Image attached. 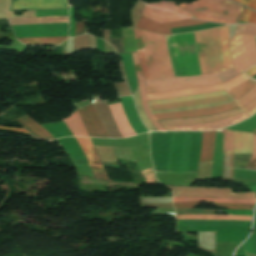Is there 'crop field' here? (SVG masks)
I'll return each mask as SVG.
<instances>
[{"mask_svg": "<svg viewBox=\"0 0 256 256\" xmlns=\"http://www.w3.org/2000/svg\"><path fill=\"white\" fill-rule=\"evenodd\" d=\"M202 132L150 133L155 171L197 172Z\"/></svg>", "mask_w": 256, "mask_h": 256, "instance_id": "crop-field-1", "label": "crop field"}, {"mask_svg": "<svg viewBox=\"0 0 256 256\" xmlns=\"http://www.w3.org/2000/svg\"><path fill=\"white\" fill-rule=\"evenodd\" d=\"M144 81L174 77L166 36L134 29Z\"/></svg>", "mask_w": 256, "mask_h": 256, "instance_id": "crop-field-2", "label": "crop field"}, {"mask_svg": "<svg viewBox=\"0 0 256 256\" xmlns=\"http://www.w3.org/2000/svg\"><path fill=\"white\" fill-rule=\"evenodd\" d=\"M175 77L201 75L193 33L167 36Z\"/></svg>", "mask_w": 256, "mask_h": 256, "instance_id": "crop-field-3", "label": "crop field"}, {"mask_svg": "<svg viewBox=\"0 0 256 256\" xmlns=\"http://www.w3.org/2000/svg\"><path fill=\"white\" fill-rule=\"evenodd\" d=\"M179 7L191 13L193 18L225 24L238 23L245 9L228 0H198Z\"/></svg>", "mask_w": 256, "mask_h": 256, "instance_id": "crop-field-4", "label": "crop field"}, {"mask_svg": "<svg viewBox=\"0 0 256 256\" xmlns=\"http://www.w3.org/2000/svg\"><path fill=\"white\" fill-rule=\"evenodd\" d=\"M237 75V72L232 68L214 75L163 79L144 82V84L146 94H150L182 88L220 84Z\"/></svg>", "mask_w": 256, "mask_h": 256, "instance_id": "crop-field-5", "label": "crop field"}, {"mask_svg": "<svg viewBox=\"0 0 256 256\" xmlns=\"http://www.w3.org/2000/svg\"><path fill=\"white\" fill-rule=\"evenodd\" d=\"M205 42L211 73L232 68L228 48V26L206 31Z\"/></svg>", "mask_w": 256, "mask_h": 256, "instance_id": "crop-field-6", "label": "crop field"}, {"mask_svg": "<svg viewBox=\"0 0 256 256\" xmlns=\"http://www.w3.org/2000/svg\"><path fill=\"white\" fill-rule=\"evenodd\" d=\"M221 96H226L229 102L233 101L225 91H221V92H214V93H208V94L151 101L149 102V106L153 113V109H154V112H157V111H164V110H171V109H177V108H184V107H191V106H198V105H205V104L227 101L226 97H221ZM213 97H221V98H213ZM205 98H213V99H205ZM197 99H205V100H197ZM189 100H197V101H189ZM181 101H189V102H181ZM173 102H181V103H173ZM165 103H173V104H165ZM225 103H228V102H225ZM157 104H165V105H157ZM220 104H224V103L177 109V110H171V111L192 110V109L212 107ZM152 105H157V106H153V109H152ZM164 112H169V111H164ZM157 113H160V112H157Z\"/></svg>", "mask_w": 256, "mask_h": 256, "instance_id": "crop-field-7", "label": "crop field"}, {"mask_svg": "<svg viewBox=\"0 0 256 256\" xmlns=\"http://www.w3.org/2000/svg\"><path fill=\"white\" fill-rule=\"evenodd\" d=\"M230 56L238 74L256 64V36L236 33L229 40Z\"/></svg>", "mask_w": 256, "mask_h": 256, "instance_id": "crop-field-8", "label": "crop field"}, {"mask_svg": "<svg viewBox=\"0 0 256 256\" xmlns=\"http://www.w3.org/2000/svg\"><path fill=\"white\" fill-rule=\"evenodd\" d=\"M247 79L249 78L245 77L242 73L238 77L220 85L183 89L179 91L164 92V93H158V94H150V95H146V98L147 100H158V99H165V98H172V97H179V96L201 94V93H207V92H213V91H221V90L229 91L235 88L236 86H238L239 84L243 83Z\"/></svg>", "mask_w": 256, "mask_h": 256, "instance_id": "crop-field-9", "label": "crop field"}, {"mask_svg": "<svg viewBox=\"0 0 256 256\" xmlns=\"http://www.w3.org/2000/svg\"><path fill=\"white\" fill-rule=\"evenodd\" d=\"M16 37H54L67 36L68 23H55L45 25L12 26Z\"/></svg>", "mask_w": 256, "mask_h": 256, "instance_id": "crop-field-10", "label": "crop field"}, {"mask_svg": "<svg viewBox=\"0 0 256 256\" xmlns=\"http://www.w3.org/2000/svg\"><path fill=\"white\" fill-rule=\"evenodd\" d=\"M10 11L68 9V0H11Z\"/></svg>", "mask_w": 256, "mask_h": 256, "instance_id": "crop-field-11", "label": "crop field"}, {"mask_svg": "<svg viewBox=\"0 0 256 256\" xmlns=\"http://www.w3.org/2000/svg\"><path fill=\"white\" fill-rule=\"evenodd\" d=\"M90 137L108 138L107 131L102 126L93 105L78 109Z\"/></svg>", "mask_w": 256, "mask_h": 256, "instance_id": "crop-field-12", "label": "crop field"}, {"mask_svg": "<svg viewBox=\"0 0 256 256\" xmlns=\"http://www.w3.org/2000/svg\"><path fill=\"white\" fill-rule=\"evenodd\" d=\"M204 23H208V22L187 19V20H183V21H175V22L159 24L157 22H154L152 20H149V19L141 16L137 23L136 28L153 31V32H158V33H163V34H171L169 28L184 27V26H189V25H200V24H204Z\"/></svg>", "mask_w": 256, "mask_h": 256, "instance_id": "crop-field-13", "label": "crop field"}, {"mask_svg": "<svg viewBox=\"0 0 256 256\" xmlns=\"http://www.w3.org/2000/svg\"><path fill=\"white\" fill-rule=\"evenodd\" d=\"M196 231H216V241H242L249 233L250 227H191Z\"/></svg>", "mask_w": 256, "mask_h": 256, "instance_id": "crop-field-14", "label": "crop field"}, {"mask_svg": "<svg viewBox=\"0 0 256 256\" xmlns=\"http://www.w3.org/2000/svg\"><path fill=\"white\" fill-rule=\"evenodd\" d=\"M248 116L245 113L239 114L234 117L218 120L215 122H211L208 124H197V125H181V126H166L164 127L167 131H173V130H214L218 128H223L227 126H231L237 122H240Z\"/></svg>", "mask_w": 256, "mask_h": 256, "instance_id": "crop-field-15", "label": "crop field"}, {"mask_svg": "<svg viewBox=\"0 0 256 256\" xmlns=\"http://www.w3.org/2000/svg\"><path fill=\"white\" fill-rule=\"evenodd\" d=\"M177 196L183 197H243L256 198L255 193L231 194L230 190L177 189Z\"/></svg>", "mask_w": 256, "mask_h": 256, "instance_id": "crop-field-16", "label": "crop field"}, {"mask_svg": "<svg viewBox=\"0 0 256 256\" xmlns=\"http://www.w3.org/2000/svg\"><path fill=\"white\" fill-rule=\"evenodd\" d=\"M237 108L235 102H232L227 105L207 108V109H199V110H192V111H182V112H169V113H160L153 115L156 120L158 119H165V118H177V117H194V116H206L215 113H219L222 111H226L229 109Z\"/></svg>", "mask_w": 256, "mask_h": 256, "instance_id": "crop-field-17", "label": "crop field"}, {"mask_svg": "<svg viewBox=\"0 0 256 256\" xmlns=\"http://www.w3.org/2000/svg\"><path fill=\"white\" fill-rule=\"evenodd\" d=\"M85 153L95 177L109 179L89 138H76Z\"/></svg>", "mask_w": 256, "mask_h": 256, "instance_id": "crop-field-18", "label": "crop field"}, {"mask_svg": "<svg viewBox=\"0 0 256 256\" xmlns=\"http://www.w3.org/2000/svg\"><path fill=\"white\" fill-rule=\"evenodd\" d=\"M122 106L124 108V112L126 114V117L132 127V129L134 130V132L136 134H140V133H144L147 132V130L145 129V127L142 125L135 109H134V105H133V101H132V97L128 96V97H122L119 98Z\"/></svg>", "mask_w": 256, "mask_h": 256, "instance_id": "crop-field-19", "label": "crop field"}, {"mask_svg": "<svg viewBox=\"0 0 256 256\" xmlns=\"http://www.w3.org/2000/svg\"><path fill=\"white\" fill-rule=\"evenodd\" d=\"M58 142L65 149L68 155L71 156L74 162V165L89 164L81 148L76 142L75 138H61V139H58Z\"/></svg>", "mask_w": 256, "mask_h": 256, "instance_id": "crop-field-20", "label": "crop field"}, {"mask_svg": "<svg viewBox=\"0 0 256 256\" xmlns=\"http://www.w3.org/2000/svg\"><path fill=\"white\" fill-rule=\"evenodd\" d=\"M132 56H133V61H134L135 69H136V74H137L138 84H139V88H140L143 108L145 110V113H146L148 119L153 124V126L157 129V131H162V130H164V128L153 118V116L151 115V113L148 109L147 103H146L142 71H141V66H140L139 60H138L137 52L132 53Z\"/></svg>", "mask_w": 256, "mask_h": 256, "instance_id": "crop-field-21", "label": "crop field"}, {"mask_svg": "<svg viewBox=\"0 0 256 256\" xmlns=\"http://www.w3.org/2000/svg\"><path fill=\"white\" fill-rule=\"evenodd\" d=\"M230 111V110H229ZM227 112V111H226ZM223 113V112H222ZM242 113L238 109L234 111H230L227 113L206 117V118H195V119H178V120H166V121H160L159 123L162 126L165 125H181V124H196V123H207L214 120L230 117L236 114Z\"/></svg>", "mask_w": 256, "mask_h": 256, "instance_id": "crop-field-22", "label": "crop field"}, {"mask_svg": "<svg viewBox=\"0 0 256 256\" xmlns=\"http://www.w3.org/2000/svg\"><path fill=\"white\" fill-rule=\"evenodd\" d=\"M109 108L117 124V127L121 132V134L123 135V137L134 135L135 133L133 132V130L130 128L128 124V121L122 110L121 104L118 103V104L110 105Z\"/></svg>", "mask_w": 256, "mask_h": 256, "instance_id": "crop-field-23", "label": "crop field"}, {"mask_svg": "<svg viewBox=\"0 0 256 256\" xmlns=\"http://www.w3.org/2000/svg\"><path fill=\"white\" fill-rule=\"evenodd\" d=\"M252 134L234 131V154L251 153Z\"/></svg>", "mask_w": 256, "mask_h": 256, "instance_id": "crop-field-24", "label": "crop field"}, {"mask_svg": "<svg viewBox=\"0 0 256 256\" xmlns=\"http://www.w3.org/2000/svg\"><path fill=\"white\" fill-rule=\"evenodd\" d=\"M141 15L144 17H147L149 19H152L154 21H157L159 23L180 20V19H186L183 17L179 18L178 15L173 14V13L152 9L148 6H145Z\"/></svg>", "mask_w": 256, "mask_h": 256, "instance_id": "crop-field-25", "label": "crop field"}, {"mask_svg": "<svg viewBox=\"0 0 256 256\" xmlns=\"http://www.w3.org/2000/svg\"><path fill=\"white\" fill-rule=\"evenodd\" d=\"M194 36L198 51L201 73L202 75L210 74L206 58V48L204 44L203 31L194 33Z\"/></svg>", "mask_w": 256, "mask_h": 256, "instance_id": "crop-field-26", "label": "crop field"}, {"mask_svg": "<svg viewBox=\"0 0 256 256\" xmlns=\"http://www.w3.org/2000/svg\"><path fill=\"white\" fill-rule=\"evenodd\" d=\"M256 199L243 198H180L173 197V202H199L208 201L215 203H254Z\"/></svg>", "mask_w": 256, "mask_h": 256, "instance_id": "crop-field-27", "label": "crop field"}, {"mask_svg": "<svg viewBox=\"0 0 256 256\" xmlns=\"http://www.w3.org/2000/svg\"><path fill=\"white\" fill-rule=\"evenodd\" d=\"M214 135L215 131L203 132L199 162L212 160Z\"/></svg>", "mask_w": 256, "mask_h": 256, "instance_id": "crop-field-28", "label": "crop field"}, {"mask_svg": "<svg viewBox=\"0 0 256 256\" xmlns=\"http://www.w3.org/2000/svg\"><path fill=\"white\" fill-rule=\"evenodd\" d=\"M235 102L248 115L254 114L256 112V86Z\"/></svg>", "mask_w": 256, "mask_h": 256, "instance_id": "crop-field-29", "label": "crop field"}, {"mask_svg": "<svg viewBox=\"0 0 256 256\" xmlns=\"http://www.w3.org/2000/svg\"><path fill=\"white\" fill-rule=\"evenodd\" d=\"M73 136H88L78 112L71 114L70 117L63 119Z\"/></svg>", "mask_w": 256, "mask_h": 256, "instance_id": "crop-field-30", "label": "crop field"}, {"mask_svg": "<svg viewBox=\"0 0 256 256\" xmlns=\"http://www.w3.org/2000/svg\"><path fill=\"white\" fill-rule=\"evenodd\" d=\"M8 20L11 25L43 24V23H54V22H68V17L57 16V17L22 18V19H8Z\"/></svg>", "mask_w": 256, "mask_h": 256, "instance_id": "crop-field-31", "label": "crop field"}, {"mask_svg": "<svg viewBox=\"0 0 256 256\" xmlns=\"http://www.w3.org/2000/svg\"><path fill=\"white\" fill-rule=\"evenodd\" d=\"M252 216L239 215H177L179 219H209V220H245L251 221Z\"/></svg>", "mask_w": 256, "mask_h": 256, "instance_id": "crop-field-32", "label": "crop field"}, {"mask_svg": "<svg viewBox=\"0 0 256 256\" xmlns=\"http://www.w3.org/2000/svg\"><path fill=\"white\" fill-rule=\"evenodd\" d=\"M18 121L23 124L32 134L42 138V139H54L45 129H43L41 126H39L34 120H32L30 117L26 116L21 119H18Z\"/></svg>", "mask_w": 256, "mask_h": 256, "instance_id": "crop-field-33", "label": "crop field"}, {"mask_svg": "<svg viewBox=\"0 0 256 256\" xmlns=\"http://www.w3.org/2000/svg\"><path fill=\"white\" fill-rule=\"evenodd\" d=\"M185 225L209 226H250L251 222L240 221H208V220H182Z\"/></svg>", "mask_w": 256, "mask_h": 256, "instance_id": "crop-field-34", "label": "crop field"}, {"mask_svg": "<svg viewBox=\"0 0 256 256\" xmlns=\"http://www.w3.org/2000/svg\"><path fill=\"white\" fill-rule=\"evenodd\" d=\"M175 208H195L201 204L208 203H173ZM225 209H251L253 210L254 204H215Z\"/></svg>", "mask_w": 256, "mask_h": 256, "instance_id": "crop-field-35", "label": "crop field"}, {"mask_svg": "<svg viewBox=\"0 0 256 256\" xmlns=\"http://www.w3.org/2000/svg\"><path fill=\"white\" fill-rule=\"evenodd\" d=\"M65 39H67V37L26 38V39H18V41L26 45H59Z\"/></svg>", "mask_w": 256, "mask_h": 256, "instance_id": "crop-field-36", "label": "crop field"}, {"mask_svg": "<svg viewBox=\"0 0 256 256\" xmlns=\"http://www.w3.org/2000/svg\"><path fill=\"white\" fill-rule=\"evenodd\" d=\"M41 126L44 127L55 139L63 136H72L63 122Z\"/></svg>", "mask_w": 256, "mask_h": 256, "instance_id": "crop-field-37", "label": "crop field"}, {"mask_svg": "<svg viewBox=\"0 0 256 256\" xmlns=\"http://www.w3.org/2000/svg\"><path fill=\"white\" fill-rule=\"evenodd\" d=\"M135 105L138 111V114L143 122V124L150 130V131H156L155 128L152 126V124L149 122V120L146 118L145 113L142 108L139 89L137 88L136 91L133 94Z\"/></svg>", "mask_w": 256, "mask_h": 256, "instance_id": "crop-field-38", "label": "crop field"}, {"mask_svg": "<svg viewBox=\"0 0 256 256\" xmlns=\"http://www.w3.org/2000/svg\"><path fill=\"white\" fill-rule=\"evenodd\" d=\"M255 85H256V82L249 79L246 82H244L243 84H241L238 87H236L235 89H233L232 91L228 92V94L235 101L236 99H238L240 96L244 95L248 90H250Z\"/></svg>", "mask_w": 256, "mask_h": 256, "instance_id": "crop-field-39", "label": "crop field"}, {"mask_svg": "<svg viewBox=\"0 0 256 256\" xmlns=\"http://www.w3.org/2000/svg\"><path fill=\"white\" fill-rule=\"evenodd\" d=\"M152 7H156V8H160V9H164V10H168V11H173V12H177L183 16L189 17L191 18V15L182 11L181 9H179L175 3L172 2H167V1H162V2H157V3H150L148 4Z\"/></svg>", "mask_w": 256, "mask_h": 256, "instance_id": "crop-field-40", "label": "crop field"}, {"mask_svg": "<svg viewBox=\"0 0 256 256\" xmlns=\"http://www.w3.org/2000/svg\"><path fill=\"white\" fill-rule=\"evenodd\" d=\"M222 25L208 23L200 26H191V27H185V28H176V29H170L172 34H180V33H186L191 31H198V30H205L209 28H215Z\"/></svg>", "mask_w": 256, "mask_h": 256, "instance_id": "crop-field-41", "label": "crop field"}, {"mask_svg": "<svg viewBox=\"0 0 256 256\" xmlns=\"http://www.w3.org/2000/svg\"><path fill=\"white\" fill-rule=\"evenodd\" d=\"M223 153H233V131L224 129Z\"/></svg>", "mask_w": 256, "mask_h": 256, "instance_id": "crop-field-42", "label": "crop field"}, {"mask_svg": "<svg viewBox=\"0 0 256 256\" xmlns=\"http://www.w3.org/2000/svg\"><path fill=\"white\" fill-rule=\"evenodd\" d=\"M251 154L234 155V168L244 169Z\"/></svg>", "mask_w": 256, "mask_h": 256, "instance_id": "crop-field-43", "label": "crop field"}, {"mask_svg": "<svg viewBox=\"0 0 256 256\" xmlns=\"http://www.w3.org/2000/svg\"><path fill=\"white\" fill-rule=\"evenodd\" d=\"M177 214H215L213 210L203 209H176Z\"/></svg>", "mask_w": 256, "mask_h": 256, "instance_id": "crop-field-44", "label": "crop field"}, {"mask_svg": "<svg viewBox=\"0 0 256 256\" xmlns=\"http://www.w3.org/2000/svg\"><path fill=\"white\" fill-rule=\"evenodd\" d=\"M35 14H36V17H39V16H57V15L68 16V10L35 11Z\"/></svg>", "mask_w": 256, "mask_h": 256, "instance_id": "crop-field-45", "label": "crop field"}, {"mask_svg": "<svg viewBox=\"0 0 256 256\" xmlns=\"http://www.w3.org/2000/svg\"><path fill=\"white\" fill-rule=\"evenodd\" d=\"M236 32L256 35V26L255 25H238Z\"/></svg>", "mask_w": 256, "mask_h": 256, "instance_id": "crop-field-46", "label": "crop field"}, {"mask_svg": "<svg viewBox=\"0 0 256 256\" xmlns=\"http://www.w3.org/2000/svg\"><path fill=\"white\" fill-rule=\"evenodd\" d=\"M241 21L256 24V13L248 9H245Z\"/></svg>", "mask_w": 256, "mask_h": 256, "instance_id": "crop-field-47", "label": "crop field"}, {"mask_svg": "<svg viewBox=\"0 0 256 256\" xmlns=\"http://www.w3.org/2000/svg\"><path fill=\"white\" fill-rule=\"evenodd\" d=\"M250 160L256 161V134H253V151H252V156ZM253 161H249L247 166L254 168L256 165V162H253Z\"/></svg>", "mask_w": 256, "mask_h": 256, "instance_id": "crop-field-48", "label": "crop field"}, {"mask_svg": "<svg viewBox=\"0 0 256 256\" xmlns=\"http://www.w3.org/2000/svg\"><path fill=\"white\" fill-rule=\"evenodd\" d=\"M244 247H245V251L256 254L255 246H254V240H253V234L246 241V243L244 244Z\"/></svg>", "mask_w": 256, "mask_h": 256, "instance_id": "crop-field-49", "label": "crop field"}, {"mask_svg": "<svg viewBox=\"0 0 256 256\" xmlns=\"http://www.w3.org/2000/svg\"><path fill=\"white\" fill-rule=\"evenodd\" d=\"M111 46L114 47L117 53L123 52L122 39L110 40Z\"/></svg>", "mask_w": 256, "mask_h": 256, "instance_id": "crop-field-50", "label": "crop field"}, {"mask_svg": "<svg viewBox=\"0 0 256 256\" xmlns=\"http://www.w3.org/2000/svg\"><path fill=\"white\" fill-rule=\"evenodd\" d=\"M74 36V11L73 7H70V28H69V37Z\"/></svg>", "mask_w": 256, "mask_h": 256, "instance_id": "crop-field-51", "label": "crop field"}, {"mask_svg": "<svg viewBox=\"0 0 256 256\" xmlns=\"http://www.w3.org/2000/svg\"><path fill=\"white\" fill-rule=\"evenodd\" d=\"M235 1L256 10V0H235Z\"/></svg>", "mask_w": 256, "mask_h": 256, "instance_id": "crop-field-52", "label": "crop field"}, {"mask_svg": "<svg viewBox=\"0 0 256 256\" xmlns=\"http://www.w3.org/2000/svg\"><path fill=\"white\" fill-rule=\"evenodd\" d=\"M228 214H239V215H252L253 211H242V210H224Z\"/></svg>", "mask_w": 256, "mask_h": 256, "instance_id": "crop-field-53", "label": "crop field"}, {"mask_svg": "<svg viewBox=\"0 0 256 256\" xmlns=\"http://www.w3.org/2000/svg\"><path fill=\"white\" fill-rule=\"evenodd\" d=\"M0 130H3V131H11V132H17V133H23V134H29L26 130L14 129V128H7V127H1V126H0ZM29 135H30V134H29Z\"/></svg>", "mask_w": 256, "mask_h": 256, "instance_id": "crop-field-54", "label": "crop field"}, {"mask_svg": "<svg viewBox=\"0 0 256 256\" xmlns=\"http://www.w3.org/2000/svg\"><path fill=\"white\" fill-rule=\"evenodd\" d=\"M245 74L249 76L250 78L256 75V65L253 66L252 68L246 70Z\"/></svg>", "mask_w": 256, "mask_h": 256, "instance_id": "crop-field-55", "label": "crop field"}, {"mask_svg": "<svg viewBox=\"0 0 256 256\" xmlns=\"http://www.w3.org/2000/svg\"><path fill=\"white\" fill-rule=\"evenodd\" d=\"M253 233H254L255 244H256V216H255V221H254Z\"/></svg>", "mask_w": 256, "mask_h": 256, "instance_id": "crop-field-56", "label": "crop field"}, {"mask_svg": "<svg viewBox=\"0 0 256 256\" xmlns=\"http://www.w3.org/2000/svg\"><path fill=\"white\" fill-rule=\"evenodd\" d=\"M252 192H256V186L251 187Z\"/></svg>", "mask_w": 256, "mask_h": 256, "instance_id": "crop-field-57", "label": "crop field"}, {"mask_svg": "<svg viewBox=\"0 0 256 256\" xmlns=\"http://www.w3.org/2000/svg\"><path fill=\"white\" fill-rule=\"evenodd\" d=\"M252 133H256V130H254Z\"/></svg>", "mask_w": 256, "mask_h": 256, "instance_id": "crop-field-58", "label": "crop field"}]
</instances>
